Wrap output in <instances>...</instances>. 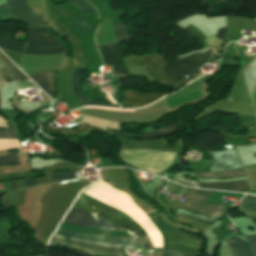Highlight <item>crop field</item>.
Masks as SVG:
<instances>
[{
  "mask_svg": "<svg viewBox=\"0 0 256 256\" xmlns=\"http://www.w3.org/2000/svg\"><path fill=\"white\" fill-rule=\"evenodd\" d=\"M74 206L94 214L126 231H128L134 239L147 236V233L130 217L124 213L98 201L85 194H82L75 202ZM72 206L69 213L63 220L76 226H87L92 228H109L120 229L94 215L82 211ZM120 229V230H122Z\"/></svg>",
  "mask_w": 256,
  "mask_h": 256,
  "instance_id": "8a807250",
  "label": "crop field"
},
{
  "mask_svg": "<svg viewBox=\"0 0 256 256\" xmlns=\"http://www.w3.org/2000/svg\"><path fill=\"white\" fill-rule=\"evenodd\" d=\"M53 237L118 247V248H134L135 246V242L132 240V238L79 233V232H73V231H69L61 228H58V230L56 231ZM56 238H52L50 243L75 247L91 253L122 256L121 249H118V248L93 245V244H87V243H81V242H74V241H68V240H62V239H56Z\"/></svg>",
  "mask_w": 256,
  "mask_h": 256,
  "instance_id": "ac0d7876",
  "label": "crop field"
},
{
  "mask_svg": "<svg viewBox=\"0 0 256 256\" xmlns=\"http://www.w3.org/2000/svg\"><path fill=\"white\" fill-rule=\"evenodd\" d=\"M141 59L143 64L147 67V69L149 70V72L151 73V75L153 76L156 82L163 85L172 81L166 75V62L163 60V57L159 55H155V56L141 58ZM193 78L195 77L178 79L164 86L174 87L175 90L169 92V93H172L178 90L179 88H181L183 85L187 84ZM123 94H125L126 97L134 98V99H127L124 101V103L132 107L149 105L164 96L162 94H138L131 91L123 92Z\"/></svg>",
  "mask_w": 256,
  "mask_h": 256,
  "instance_id": "34b2d1b8",
  "label": "crop field"
},
{
  "mask_svg": "<svg viewBox=\"0 0 256 256\" xmlns=\"http://www.w3.org/2000/svg\"><path fill=\"white\" fill-rule=\"evenodd\" d=\"M121 158L128 164L152 173H159L175 158V153L147 150H122Z\"/></svg>",
  "mask_w": 256,
  "mask_h": 256,
  "instance_id": "412701ff",
  "label": "crop field"
},
{
  "mask_svg": "<svg viewBox=\"0 0 256 256\" xmlns=\"http://www.w3.org/2000/svg\"><path fill=\"white\" fill-rule=\"evenodd\" d=\"M185 189L186 188H184L183 193ZM213 192L214 191L210 190L187 188L184 195L188 196V199L186 202L179 204L178 207L186 208L189 210L221 218L229 207L207 202L208 197Z\"/></svg>",
  "mask_w": 256,
  "mask_h": 256,
  "instance_id": "f4fd0767",
  "label": "crop field"
},
{
  "mask_svg": "<svg viewBox=\"0 0 256 256\" xmlns=\"http://www.w3.org/2000/svg\"><path fill=\"white\" fill-rule=\"evenodd\" d=\"M11 8L15 19L23 21L28 30L48 28L34 8L28 9L25 0H6ZM8 4L0 6V15L12 16Z\"/></svg>",
  "mask_w": 256,
  "mask_h": 256,
  "instance_id": "dd49c442",
  "label": "crop field"
},
{
  "mask_svg": "<svg viewBox=\"0 0 256 256\" xmlns=\"http://www.w3.org/2000/svg\"><path fill=\"white\" fill-rule=\"evenodd\" d=\"M114 30L116 33L117 41H125L129 38L128 30L126 26L120 21H112ZM117 43L101 45L100 51L104 59V63L108 65H113V74L119 76L127 75V70L122 65V59L120 55L116 54Z\"/></svg>",
  "mask_w": 256,
  "mask_h": 256,
  "instance_id": "e52e79f7",
  "label": "crop field"
},
{
  "mask_svg": "<svg viewBox=\"0 0 256 256\" xmlns=\"http://www.w3.org/2000/svg\"><path fill=\"white\" fill-rule=\"evenodd\" d=\"M164 239V248L188 251L192 253L200 252L202 249V240L194 237H187L172 233L161 232ZM190 253L172 251L164 249L163 256H191Z\"/></svg>",
  "mask_w": 256,
  "mask_h": 256,
  "instance_id": "d8731c3e",
  "label": "crop field"
},
{
  "mask_svg": "<svg viewBox=\"0 0 256 256\" xmlns=\"http://www.w3.org/2000/svg\"><path fill=\"white\" fill-rule=\"evenodd\" d=\"M43 33H48L47 30L29 31L28 44L26 47L32 48H56V49H32L25 48L24 54H48L67 52L63 44L59 43L55 38L50 36L45 37Z\"/></svg>",
  "mask_w": 256,
  "mask_h": 256,
  "instance_id": "5a996713",
  "label": "crop field"
},
{
  "mask_svg": "<svg viewBox=\"0 0 256 256\" xmlns=\"http://www.w3.org/2000/svg\"><path fill=\"white\" fill-rule=\"evenodd\" d=\"M209 52L210 51L203 54H197V55L193 54L194 56H191V57L186 56L187 58L179 59L176 62L169 63V68H168L169 75L171 76V78H173V77H180V76L201 72L199 67L207 59Z\"/></svg>",
  "mask_w": 256,
  "mask_h": 256,
  "instance_id": "3316defc",
  "label": "crop field"
},
{
  "mask_svg": "<svg viewBox=\"0 0 256 256\" xmlns=\"http://www.w3.org/2000/svg\"><path fill=\"white\" fill-rule=\"evenodd\" d=\"M213 157L212 168L210 171L227 170L243 167L236 156L234 149L222 150L219 152L207 151Z\"/></svg>",
  "mask_w": 256,
  "mask_h": 256,
  "instance_id": "28ad6ade",
  "label": "crop field"
},
{
  "mask_svg": "<svg viewBox=\"0 0 256 256\" xmlns=\"http://www.w3.org/2000/svg\"><path fill=\"white\" fill-rule=\"evenodd\" d=\"M0 78L5 82L28 80L1 52H0Z\"/></svg>",
  "mask_w": 256,
  "mask_h": 256,
  "instance_id": "d1516ede",
  "label": "crop field"
},
{
  "mask_svg": "<svg viewBox=\"0 0 256 256\" xmlns=\"http://www.w3.org/2000/svg\"><path fill=\"white\" fill-rule=\"evenodd\" d=\"M51 98L55 97V79L51 71L29 75Z\"/></svg>",
  "mask_w": 256,
  "mask_h": 256,
  "instance_id": "22f410ed",
  "label": "crop field"
},
{
  "mask_svg": "<svg viewBox=\"0 0 256 256\" xmlns=\"http://www.w3.org/2000/svg\"><path fill=\"white\" fill-rule=\"evenodd\" d=\"M199 188L220 189L250 193L246 180L231 183L201 182V186H199Z\"/></svg>",
  "mask_w": 256,
  "mask_h": 256,
  "instance_id": "cbeb9de0",
  "label": "crop field"
},
{
  "mask_svg": "<svg viewBox=\"0 0 256 256\" xmlns=\"http://www.w3.org/2000/svg\"><path fill=\"white\" fill-rule=\"evenodd\" d=\"M226 241L231 248L233 256H252L250 248L246 242L233 235Z\"/></svg>",
  "mask_w": 256,
  "mask_h": 256,
  "instance_id": "5142ce71",
  "label": "crop field"
},
{
  "mask_svg": "<svg viewBox=\"0 0 256 256\" xmlns=\"http://www.w3.org/2000/svg\"><path fill=\"white\" fill-rule=\"evenodd\" d=\"M67 21L70 23L77 35L92 31V28L85 20L83 15L68 18Z\"/></svg>",
  "mask_w": 256,
  "mask_h": 256,
  "instance_id": "d9b57169",
  "label": "crop field"
},
{
  "mask_svg": "<svg viewBox=\"0 0 256 256\" xmlns=\"http://www.w3.org/2000/svg\"><path fill=\"white\" fill-rule=\"evenodd\" d=\"M243 212H256V196L245 195L243 199ZM256 225V213H246Z\"/></svg>",
  "mask_w": 256,
  "mask_h": 256,
  "instance_id": "733c2abd",
  "label": "crop field"
},
{
  "mask_svg": "<svg viewBox=\"0 0 256 256\" xmlns=\"http://www.w3.org/2000/svg\"><path fill=\"white\" fill-rule=\"evenodd\" d=\"M82 72L83 69L77 67V69L75 70L74 74H73V78H72V83H73V87L75 90V93L77 95V97L79 98L80 102L84 105L86 104L90 99H88L87 97H85L81 92H80V78L82 76Z\"/></svg>",
  "mask_w": 256,
  "mask_h": 256,
  "instance_id": "4a817a6b",
  "label": "crop field"
},
{
  "mask_svg": "<svg viewBox=\"0 0 256 256\" xmlns=\"http://www.w3.org/2000/svg\"><path fill=\"white\" fill-rule=\"evenodd\" d=\"M180 124L181 123H177V124L167 128V129L151 132V133L140 135V136H131V135H128V134H124L122 132H115V133H119V134H122V135L127 136V137L156 138V137L167 136V135L173 133Z\"/></svg>",
  "mask_w": 256,
  "mask_h": 256,
  "instance_id": "bc2a9ffb",
  "label": "crop field"
},
{
  "mask_svg": "<svg viewBox=\"0 0 256 256\" xmlns=\"http://www.w3.org/2000/svg\"><path fill=\"white\" fill-rule=\"evenodd\" d=\"M196 176H209V177H229L244 174L243 168L233 169L223 172H205V173H194Z\"/></svg>",
  "mask_w": 256,
  "mask_h": 256,
  "instance_id": "214f88e0",
  "label": "crop field"
},
{
  "mask_svg": "<svg viewBox=\"0 0 256 256\" xmlns=\"http://www.w3.org/2000/svg\"><path fill=\"white\" fill-rule=\"evenodd\" d=\"M20 46L24 47L25 43L17 42L15 40L4 39V38L0 37V47L1 48H4L9 51L22 53V48H20Z\"/></svg>",
  "mask_w": 256,
  "mask_h": 256,
  "instance_id": "92a150f3",
  "label": "crop field"
},
{
  "mask_svg": "<svg viewBox=\"0 0 256 256\" xmlns=\"http://www.w3.org/2000/svg\"><path fill=\"white\" fill-rule=\"evenodd\" d=\"M209 79H210L209 76L206 75V76L202 77L201 79H199L197 81L195 80L196 82H194V83L188 85L187 87L183 88L180 92H178L174 95H170V96L165 97V100L176 97V96H179V95H182V94H185V93H188V92H191V91H194V90H197V89H200L201 88L200 83H203V82H205Z\"/></svg>",
  "mask_w": 256,
  "mask_h": 256,
  "instance_id": "dafd665d",
  "label": "crop field"
},
{
  "mask_svg": "<svg viewBox=\"0 0 256 256\" xmlns=\"http://www.w3.org/2000/svg\"><path fill=\"white\" fill-rule=\"evenodd\" d=\"M70 3L73 4L76 8H78L79 10H81L82 12H84L87 15L96 11L92 7V5L89 4L88 2H86L85 0H73Z\"/></svg>",
  "mask_w": 256,
  "mask_h": 256,
  "instance_id": "00972430",
  "label": "crop field"
},
{
  "mask_svg": "<svg viewBox=\"0 0 256 256\" xmlns=\"http://www.w3.org/2000/svg\"><path fill=\"white\" fill-rule=\"evenodd\" d=\"M78 172H81V170L80 169L70 170L68 172L52 174L51 176H52V179L54 182H58V181H62V180L74 179V178H76L74 173H78Z\"/></svg>",
  "mask_w": 256,
  "mask_h": 256,
  "instance_id": "a9b5d70f",
  "label": "crop field"
},
{
  "mask_svg": "<svg viewBox=\"0 0 256 256\" xmlns=\"http://www.w3.org/2000/svg\"><path fill=\"white\" fill-rule=\"evenodd\" d=\"M9 156L0 157L1 164H19L16 151L8 152Z\"/></svg>",
  "mask_w": 256,
  "mask_h": 256,
  "instance_id": "4177f3b9",
  "label": "crop field"
},
{
  "mask_svg": "<svg viewBox=\"0 0 256 256\" xmlns=\"http://www.w3.org/2000/svg\"><path fill=\"white\" fill-rule=\"evenodd\" d=\"M0 117H3V116L0 114ZM7 122H8L9 128H6L4 133L0 132V138L17 139L13 132L10 122L9 121H7Z\"/></svg>",
  "mask_w": 256,
  "mask_h": 256,
  "instance_id": "730fd06b",
  "label": "crop field"
},
{
  "mask_svg": "<svg viewBox=\"0 0 256 256\" xmlns=\"http://www.w3.org/2000/svg\"><path fill=\"white\" fill-rule=\"evenodd\" d=\"M224 139H235V138H250L256 137V132L248 133L246 136H236L227 132L219 131Z\"/></svg>",
  "mask_w": 256,
  "mask_h": 256,
  "instance_id": "eef30255",
  "label": "crop field"
},
{
  "mask_svg": "<svg viewBox=\"0 0 256 256\" xmlns=\"http://www.w3.org/2000/svg\"><path fill=\"white\" fill-rule=\"evenodd\" d=\"M187 32L191 33L194 35V37H198L200 40L205 39L204 35L201 33V31L193 26H188L185 29Z\"/></svg>",
  "mask_w": 256,
  "mask_h": 256,
  "instance_id": "ae1a2a85",
  "label": "crop field"
},
{
  "mask_svg": "<svg viewBox=\"0 0 256 256\" xmlns=\"http://www.w3.org/2000/svg\"><path fill=\"white\" fill-rule=\"evenodd\" d=\"M246 237H247L248 242L251 246L253 255L256 256V235H249V236H246Z\"/></svg>",
  "mask_w": 256,
  "mask_h": 256,
  "instance_id": "d3111659",
  "label": "crop field"
},
{
  "mask_svg": "<svg viewBox=\"0 0 256 256\" xmlns=\"http://www.w3.org/2000/svg\"><path fill=\"white\" fill-rule=\"evenodd\" d=\"M87 105H98V106H106V107H116V108H121L119 107L118 105H114V104H111V105H108L102 101H98V100H95L93 99L91 102H89ZM86 105V106H87Z\"/></svg>",
  "mask_w": 256,
  "mask_h": 256,
  "instance_id": "750c4746",
  "label": "crop field"
},
{
  "mask_svg": "<svg viewBox=\"0 0 256 256\" xmlns=\"http://www.w3.org/2000/svg\"><path fill=\"white\" fill-rule=\"evenodd\" d=\"M256 126V119L255 118H242L241 126Z\"/></svg>",
  "mask_w": 256,
  "mask_h": 256,
  "instance_id": "bd1437ed",
  "label": "crop field"
},
{
  "mask_svg": "<svg viewBox=\"0 0 256 256\" xmlns=\"http://www.w3.org/2000/svg\"><path fill=\"white\" fill-rule=\"evenodd\" d=\"M225 31H226V27L220 28V29L218 30L217 38L223 40V39H224Z\"/></svg>",
  "mask_w": 256,
  "mask_h": 256,
  "instance_id": "1d83c4d3",
  "label": "crop field"
},
{
  "mask_svg": "<svg viewBox=\"0 0 256 256\" xmlns=\"http://www.w3.org/2000/svg\"><path fill=\"white\" fill-rule=\"evenodd\" d=\"M252 98H253V102H254V106H255V111H256V88L254 89V91L252 93Z\"/></svg>",
  "mask_w": 256,
  "mask_h": 256,
  "instance_id": "120bbe31",
  "label": "crop field"
},
{
  "mask_svg": "<svg viewBox=\"0 0 256 256\" xmlns=\"http://www.w3.org/2000/svg\"><path fill=\"white\" fill-rule=\"evenodd\" d=\"M3 129H4V128H1V127H0V131H3Z\"/></svg>",
  "mask_w": 256,
  "mask_h": 256,
  "instance_id": "d32e631a",
  "label": "crop field"
}]
</instances>
